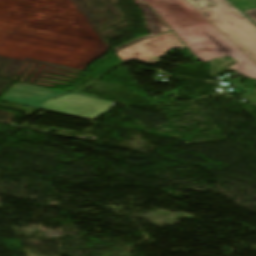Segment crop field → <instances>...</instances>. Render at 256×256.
<instances>
[{
	"instance_id": "7",
	"label": "crop field",
	"mask_w": 256,
	"mask_h": 256,
	"mask_svg": "<svg viewBox=\"0 0 256 256\" xmlns=\"http://www.w3.org/2000/svg\"><path fill=\"white\" fill-rule=\"evenodd\" d=\"M187 1L191 3L193 6H195L196 8H210V5L204 0H187Z\"/></svg>"
},
{
	"instance_id": "6",
	"label": "crop field",
	"mask_w": 256,
	"mask_h": 256,
	"mask_svg": "<svg viewBox=\"0 0 256 256\" xmlns=\"http://www.w3.org/2000/svg\"><path fill=\"white\" fill-rule=\"evenodd\" d=\"M239 8L249 19L256 23V0H229Z\"/></svg>"
},
{
	"instance_id": "4",
	"label": "crop field",
	"mask_w": 256,
	"mask_h": 256,
	"mask_svg": "<svg viewBox=\"0 0 256 256\" xmlns=\"http://www.w3.org/2000/svg\"><path fill=\"white\" fill-rule=\"evenodd\" d=\"M173 32L133 44L117 54L123 62L136 60L154 65L171 48H183Z\"/></svg>"
},
{
	"instance_id": "2",
	"label": "crop field",
	"mask_w": 256,
	"mask_h": 256,
	"mask_svg": "<svg viewBox=\"0 0 256 256\" xmlns=\"http://www.w3.org/2000/svg\"><path fill=\"white\" fill-rule=\"evenodd\" d=\"M10 89V88H9ZM40 86L18 83L0 99L42 110L93 120L107 113L113 102L68 93Z\"/></svg>"
},
{
	"instance_id": "5",
	"label": "crop field",
	"mask_w": 256,
	"mask_h": 256,
	"mask_svg": "<svg viewBox=\"0 0 256 256\" xmlns=\"http://www.w3.org/2000/svg\"><path fill=\"white\" fill-rule=\"evenodd\" d=\"M133 1H135L141 8L143 14L145 15V17L147 19V30H149L152 34L144 36L142 38H138V39L133 40L125 45H122V46L114 49L116 51H118V50L140 40V39H145L150 36L169 31V28L142 2V0H133Z\"/></svg>"
},
{
	"instance_id": "3",
	"label": "crop field",
	"mask_w": 256,
	"mask_h": 256,
	"mask_svg": "<svg viewBox=\"0 0 256 256\" xmlns=\"http://www.w3.org/2000/svg\"><path fill=\"white\" fill-rule=\"evenodd\" d=\"M206 1L212 8L198 11L256 64V24L228 0Z\"/></svg>"
},
{
	"instance_id": "1",
	"label": "crop field",
	"mask_w": 256,
	"mask_h": 256,
	"mask_svg": "<svg viewBox=\"0 0 256 256\" xmlns=\"http://www.w3.org/2000/svg\"><path fill=\"white\" fill-rule=\"evenodd\" d=\"M201 61L229 56L238 63L229 67L256 79V65L220 33L186 0H145Z\"/></svg>"
}]
</instances>
